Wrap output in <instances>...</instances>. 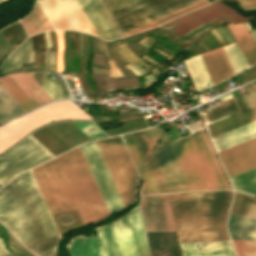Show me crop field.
<instances>
[{
    "instance_id": "crop-field-1",
    "label": "crop field",
    "mask_w": 256,
    "mask_h": 256,
    "mask_svg": "<svg viewBox=\"0 0 256 256\" xmlns=\"http://www.w3.org/2000/svg\"><path fill=\"white\" fill-rule=\"evenodd\" d=\"M178 243L229 240L224 221L230 191L168 194ZM167 194L141 196L147 233L175 230Z\"/></svg>"
},
{
    "instance_id": "crop-field-2",
    "label": "crop field",
    "mask_w": 256,
    "mask_h": 256,
    "mask_svg": "<svg viewBox=\"0 0 256 256\" xmlns=\"http://www.w3.org/2000/svg\"><path fill=\"white\" fill-rule=\"evenodd\" d=\"M0 222L37 256L62 239L30 170L0 189Z\"/></svg>"
},
{
    "instance_id": "crop-field-3",
    "label": "crop field",
    "mask_w": 256,
    "mask_h": 256,
    "mask_svg": "<svg viewBox=\"0 0 256 256\" xmlns=\"http://www.w3.org/2000/svg\"><path fill=\"white\" fill-rule=\"evenodd\" d=\"M55 159L84 225L110 215L80 147L78 146Z\"/></svg>"
},
{
    "instance_id": "crop-field-4",
    "label": "crop field",
    "mask_w": 256,
    "mask_h": 256,
    "mask_svg": "<svg viewBox=\"0 0 256 256\" xmlns=\"http://www.w3.org/2000/svg\"><path fill=\"white\" fill-rule=\"evenodd\" d=\"M170 145L191 190L225 189L198 131Z\"/></svg>"
},
{
    "instance_id": "crop-field-5",
    "label": "crop field",
    "mask_w": 256,
    "mask_h": 256,
    "mask_svg": "<svg viewBox=\"0 0 256 256\" xmlns=\"http://www.w3.org/2000/svg\"><path fill=\"white\" fill-rule=\"evenodd\" d=\"M199 0H101L121 35Z\"/></svg>"
},
{
    "instance_id": "crop-field-6",
    "label": "crop field",
    "mask_w": 256,
    "mask_h": 256,
    "mask_svg": "<svg viewBox=\"0 0 256 256\" xmlns=\"http://www.w3.org/2000/svg\"><path fill=\"white\" fill-rule=\"evenodd\" d=\"M95 229L103 256H149L138 207L125 217Z\"/></svg>"
},
{
    "instance_id": "crop-field-7",
    "label": "crop field",
    "mask_w": 256,
    "mask_h": 256,
    "mask_svg": "<svg viewBox=\"0 0 256 256\" xmlns=\"http://www.w3.org/2000/svg\"><path fill=\"white\" fill-rule=\"evenodd\" d=\"M71 118L93 119L71 101H60L13 120L0 127V152L27 131L41 124Z\"/></svg>"
},
{
    "instance_id": "crop-field-8",
    "label": "crop field",
    "mask_w": 256,
    "mask_h": 256,
    "mask_svg": "<svg viewBox=\"0 0 256 256\" xmlns=\"http://www.w3.org/2000/svg\"><path fill=\"white\" fill-rule=\"evenodd\" d=\"M121 200L126 206L133 201L136 171L119 136L95 141Z\"/></svg>"
},
{
    "instance_id": "crop-field-9",
    "label": "crop field",
    "mask_w": 256,
    "mask_h": 256,
    "mask_svg": "<svg viewBox=\"0 0 256 256\" xmlns=\"http://www.w3.org/2000/svg\"><path fill=\"white\" fill-rule=\"evenodd\" d=\"M31 170L51 213L76 208L54 158Z\"/></svg>"
},
{
    "instance_id": "crop-field-10",
    "label": "crop field",
    "mask_w": 256,
    "mask_h": 256,
    "mask_svg": "<svg viewBox=\"0 0 256 256\" xmlns=\"http://www.w3.org/2000/svg\"><path fill=\"white\" fill-rule=\"evenodd\" d=\"M53 157L31 135L0 158V187L17 174Z\"/></svg>"
},
{
    "instance_id": "crop-field-11",
    "label": "crop field",
    "mask_w": 256,
    "mask_h": 256,
    "mask_svg": "<svg viewBox=\"0 0 256 256\" xmlns=\"http://www.w3.org/2000/svg\"><path fill=\"white\" fill-rule=\"evenodd\" d=\"M227 26L231 31L239 49L241 50L248 66H251L256 62V45L253 42L252 36L250 35L243 23L236 26H233V24L230 23L227 24ZM218 29L229 44L234 43V40L226 27L222 26ZM211 33L221 45L226 44L225 40L222 38L216 28L212 29ZM236 43L223 47L235 74L247 68V65Z\"/></svg>"
},
{
    "instance_id": "crop-field-12",
    "label": "crop field",
    "mask_w": 256,
    "mask_h": 256,
    "mask_svg": "<svg viewBox=\"0 0 256 256\" xmlns=\"http://www.w3.org/2000/svg\"><path fill=\"white\" fill-rule=\"evenodd\" d=\"M37 1L54 29H74L96 35L75 0Z\"/></svg>"
},
{
    "instance_id": "crop-field-13",
    "label": "crop field",
    "mask_w": 256,
    "mask_h": 256,
    "mask_svg": "<svg viewBox=\"0 0 256 256\" xmlns=\"http://www.w3.org/2000/svg\"><path fill=\"white\" fill-rule=\"evenodd\" d=\"M169 185L173 192L190 190L182 171L177 163L173 151L166 139L163 129H156V126L145 130ZM161 140L159 144L157 140Z\"/></svg>"
},
{
    "instance_id": "crop-field-14",
    "label": "crop field",
    "mask_w": 256,
    "mask_h": 256,
    "mask_svg": "<svg viewBox=\"0 0 256 256\" xmlns=\"http://www.w3.org/2000/svg\"><path fill=\"white\" fill-rule=\"evenodd\" d=\"M80 147L110 213L116 209L124 208L95 142L84 143Z\"/></svg>"
},
{
    "instance_id": "crop-field-15",
    "label": "crop field",
    "mask_w": 256,
    "mask_h": 256,
    "mask_svg": "<svg viewBox=\"0 0 256 256\" xmlns=\"http://www.w3.org/2000/svg\"><path fill=\"white\" fill-rule=\"evenodd\" d=\"M228 177L256 167V138L218 153Z\"/></svg>"
},
{
    "instance_id": "crop-field-16",
    "label": "crop field",
    "mask_w": 256,
    "mask_h": 256,
    "mask_svg": "<svg viewBox=\"0 0 256 256\" xmlns=\"http://www.w3.org/2000/svg\"><path fill=\"white\" fill-rule=\"evenodd\" d=\"M245 88L248 93L235 98L242 113L256 107V83ZM255 120L256 109H253L234 118L209 126V134L213 138Z\"/></svg>"
},
{
    "instance_id": "crop-field-17",
    "label": "crop field",
    "mask_w": 256,
    "mask_h": 256,
    "mask_svg": "<svg viewBox=\"0 0 256 256\" xmlns=\"http://www.w3.org/2000/svg\"><path fill=\"white\" fill-rule=\"evenodd\" d=\"M97 36L104 39L120 37L98 0H76Z\"/></svg>"
},
{
    "instance_id": "crop-field-18",
    "label": "crop field",
    "mask_w": 256,
    "mask_h": 256,
    "mask_svg": "<svg viewBox=\"0 0 256 256\" xmlns=\"http://www.w3.org/2000/svg\"><path fill=\"white\" fill-rule=\"evenodd\" d=\"M159 193L171 192L145 131L132 133Z\"/></svg>"
},
{
    "instance_id": "crop-field-19",
    "label": "crop field",
    "mask_w": 256,
    "mask_h": 256,
    "mask_svg": "<svg viewBox=\"0 0 256 256\" xmlns=\"http://www.w3.org/2000/svg\"><path fill=\"white\" fill-rule=\"evenodd\" d=\"M201 58L214 84L234 75L222 47L201 54Z\"/></svg>"
},
{
    "instance_id": "crop-field-20",
    "label": "crop field",
    "mask_w": 256,
    "mask_h": 256,
    "mask_svg": "<svg viewBox=\"0 0 256 256\" xmlns=\"http://www.w3.org/2000/svg\"><path fill=\"white\" fill-rule=\"evenodd\" d=\"M256 137V121L213 138L217 152Z\"/></svg>"
},
{
    "instance_id": "crop-field-21",
    "label": "crop field",
    "mask_w": 256,
    "mask_h": 256,
    "mask_svg": "<svg viewBox=\"0 0 256 256\" xmlns=\"http://www.w3.org/2000/svg\"><path fill=\"white\" fill-rule=\"evenodd\" d=\"M127 135H130L133 145L130 144ZM122 138L128 148V151L134 161V164H135L141 178L144 181L141 194L158 193L154 186V183L150 177V174L146 168V165L143 161V158L139 152V149L135 143V140H134L132 134L129 133V134L122 135Z\"/></svg>"
},
{
    "instance_id": "crop-field-22",
    "label": "crop field",
    "mask_w": 256,
    "mask_h": 256,
    "mask_svg": "<svg viewBox=\"0 0 256 256\" xmlns=\"http://www.w3.org/2000/svg\"><path fill=\"white\" fill-rule=\"evenodd\" d=\"M37 107L52 101L29 74L10 75Z\"/></svg>"
},
{
    "instance_id": "crop-field-23",
    "label": "crop field",
    "mask_w": 256,
    "mask_h": 256,
    "mask_svg": "<svg viewBox=\"0 0 256 256\" xmlns=\"http://www.w3.org/2000/svg\"><path fill=\"white\" fill-rule=\"evenodd\" d=\"M71 256H102L99 239L95 236H78L66 245Z\"/></svg>"
},
{
    "instance_id": "crop-field-24",
    "label": "crop field",
    "mask_w": 256,
    "mask_h": 256,
    "mask_svg": "<svg viewBox=\"0 0 256 256\" xmlns=\"http://www.w3.org/2000/svg\"><path fill=\"white\" fill-rule=\"evenodd\" d=\"M200 56H193L184 61L197 91L213 84Z\"/></svg>"
},
{
    "instance_id": "crop-field-25",
    "label": "crop field",
    "mask_w": 256,
    "mask_h": 256,
    "mask_svg": "<svg viewBox=\"0 0 256 256\" xmlns=\"http://www.w3.org/2000/svg\"><path fill=\"white\" fill-rule=\"evenodd\" d=\"M20 21L28 35L53 29L37 2L33 8L32 13Z\"/></svg>"
},
{
    "instance_id": "crop-field-26",
    "label": "crop field",
    "mask_w": 256,
    "mask_h": 256,
    "mask_svg": "<svg viewBox=\"0 0 256 256\" xmlns=\"http://www.w3.org/2000/svg\"><path fill=\"white\" fill-rule=\"evenodd\" d=\"M253 213H256V198L235 193L230 216L242 218ZM243 219L256 221V214Z\"/></svg>"
},
{
    "instance_id": "crop-field-27",
    "label": "crop field",
    "mask_w": 256,
    "mask_h": 256,
    "mask_svg": "<svg viewBox=\"0 0 256 256\" xmlns=\"http://www.w3.org/2000/svg\"><path fill=\"white\" fill-rule=\"evenodd\" d=\"M53 100L70 98L63 78L48 83L39 72L30 73Z\"/></svg>"
},
{
    "instance_id": "crop-field-28",
    "label": "crop field",
    "mask_w": 256,
    "mask_h": 256,
    "mask_svg": "<svg viewBox=\"0 0 256 256\" xmlns=\"http://www.w3.org/2000/svg\"><path fill=\"white\" fill-rule=\"evenodd\" d=\"M0 83L13 96V98L28 112L37 108L10 76L0 78Z\"/></svg>"
},
{
    "instance_id": "crop-field-29",
    "label": "crop field",
    "mask_w": 256,
    "mask_h": 256,
    "mask_svg": "<svg viewBox=\"0 0 256 256\" xmlns=\"http://www.w3.org/2000/svg\"><path fill=\"white\" fill-rule=\"evenodd\" d=\"M12 53L5 59L3 63L2 75L7 74V64ZM28 64V41L19 47V70L22 69L21 65ZM18 70V48L15 49L13 56L11 57L8 65V73Z\"/></svg>"
},
{
    "instance_id": "crop-field-30",
    "label": "crop field",
    "mask_w": 256,
    "mask_h": 256,
    "mask_svg": "<svg viewBox=\"0 0 256 256\" xmlns=\"http://www.w3.org/2000/svg\"><path fill=\"white\" fill-rule=\"evenodd\" d=\"M182 256H233L231 250L199 251L197 243L179 244Z\"/></svg>"
},
{
    "instance_id": "crop-field-31",
    "label": "crop field",
    "mask_w": 256,
    "mask_h": 256,
    "mask_svg": "<svg viewBox=\"0 0 256 256\" xmlns=\"http://www.w3.org/2000/svg\"><path fill=\"white\" fill-rule=\"evenodd\" d=\"M1 32L5 40L14 47L19 45L27 37L19 22L8 26L7 28L1 30Z\"/></svg>"
},
{
    "instance_id": "crop-field-32",
    "label": "crop field",
    "mask_w": 256,
    "mask_h": 256,
    "mask_svg": "<svg viewBox=\"0 0 256 256\" xmlns=\"http://www.w3.org/2000/svg\"><path fill=\"white\" fill-rule=\"evenodd\" d=\"M206 4L207 3H206L205 0H201V1L197 2V3H194V4H192V5L188 6V7H185L183 9L179 10V11H176V12L170 14V15H167V16L159 19V20H156V21H154V22H152L150 24H147V25H145V26H143L141 28H138V29H136V30H134L132 32H129V33L125 34V35L132 34V33L138 32V31H142V30H145V29H148V28H152V27L158 26V25H160V24H162V23H164L166 21H169V20H171V19H173V18H175L177 16H180V15H182V14L188 12V11H191L193 9L199 8V7L204 6ZM125 35H123V36H125Z\"/></svg>"
},
{
    "instance_id": "crop-field-33",
    "label": "crop field",
    "mask_w": 256,
    "mask_h": 256,
    "mask_svg": "<svg viewBox=\"0 0 256 256\" xmlns=\"http://www.w3.org/2000/svg\"><path fill=\"white\" fill-rule=\"evenodd\" d=\"M240 189L256 193V168L233 177Z\"/></svg>"
},
{
    "instance_id": "crop-field-34",
    "label": "crop field",
    "mask_w": 256,
    "mask_h": 256,
    "mask_svg": "<svg viewBox=\"0 0 256 256\" xmlns=\"http://www.w3.org/2000/svg\"><path fill=\"white\" fill-rule=\"evenodd\" d=\"M236 256H256V241L232 240Z\"/></svg>"
},
{
    "instance_id": "crop-field-35",
    "label": "crop field",
    "mask_w": 256,
    "mask_h": 256,
    "mask_svg": "<svg viewBox=\"0 0 256 256\" xmlns=\"http://www.w3.org/2000/svg\"><path fill=\"white\" fill-rule=\"evenodd\" d=\"M129 56H131L134 60H136L140 65H142L145 69H147V70H150V66H148L146 63H144L142 60H140L138 57H136L130 50H129V48L125 45V44H123V45H121L120 46ZM120 48V49H121ZM121 49V51H122V53H123V55H124V57L128 60V62L130 63V64H132L137 70H139L141 73H143V74H145V73H148V72H146L144 69H142L140 66H138L135 62H134V60L131 58V57H129L123 50Z\"/></svg>"
},
{
    "instance_id": "crop-field-36",
    "label": "crop field",
    "mask_w": 256,
    "mask_h": 256,
    "mask_svg": "<svg viewBox=\"0 0 256 256\" xmlns=\"http://www.w3.org/2000/svg\"><path fill=\"white\" fill-rule=\"evenodd\" d=\"M199 132H200V134H201V136H202V138L204 140V143H205V145H206V147H207V149H208V151L210 153V156H211V158H212V160H213V162L215 164V167H216V169H217V171H218V173H219V175L221 177V180H222L225 188L226 189H230V187H229V185H228V183L226 181V178H225V176H224V174H223V172L221 170V167H220V165H219V163L217 161V158H216V156H215V154L213 152V149H212V147H211V145H210V143L208 141V138H207L205 132L203 130H200Z\"/></svg>"
},
{
    "instance_id": "crop-field-37",
    "label": "crop field",
    "mask_w": 256,
    "mask_h": 256,
    "mask_svg": "<svg viewBox=\"0 0 256 256\" xmlns=\"http://www.w3.org/2000/svg\"><path fill=\"white\" fill-rule=\"evenodd\" d=\"M57 37L58 44V53L56 59L57 72H63V62H62V54H63V31H55Z\"/></svg>"
},
{
    "instance_id": "crop-field-38",
    "label": "crop field",
    "mask_w": 256,
    "mask_h": 256,
    "mask_svg": "<svg viewBox=\"0 0 256 256\" xmlns=\"http://www.w3.org/2000/svg\"><path fill=\"white\" fill-rule=\"evenodd\" d=\"M107 61H108V65H109V68H110V73H109V77L108 78H123L124 75L120 71V69L117 66V64L114 61V59L107 60Z\"/></svg>"
},
{
    "instance_id": "crop-field-39",
    "label": "crop field",
    "mask_w": 256,
    "mask_h": 256,
    "mask_svg": "<svg viewBox=\"0 0 256 256\" xmlns=\"http://www.w3.org/2000/svg\"><path fill=\"white\" fill-rule=\"evenodd\" d=\"M11 239L14 241V243L19 246L20 248H22L24 251H26L27 253H29L31 256H34L33 254H31L28 250H26L25 248H23L9 233V247L10 249H12L14 252L16 253H20L24 256H28L27 254H25L22 250H20L16 245H14L11 241Z\"/></svg>"
},
{
    "instance_id": "crop-field-40",
    "label": "crop field",
    "mask_w": 256,
    "mask_h": 256,
    "mask_svg": "<svg viewBox=\"0 0 256 256\" xmlns=\"http://www.w3.org/2000/svg\"><path fill=\"white\" fill-rule=\"evenodd\" d=\"M204 250L227 249L225 242L202 243Z\"/></svg>"
},
{
    "instance_id": "crop-field-41",
    "label": "crop field",
    "mask_w": 256,
    "mask_h": 256,
    "mask_svg": "<svg viewBox=\"0 0 256 256\" xmlns=\"http://www.w3.org/2000/svg\"><path fill=\"white\" fill-rule=\"evenodd\" d=\"M12 48H14V47L11 46L9 43H7L0 33V60Z\"/></svg>"
},
{
    "instance_id": "crop-field-42",
    "label": "crop field",
    "mask_w": 256,
    "mask_h": 256,
    "mask_svg": "<svg viewBox=\"0 0 256 256\" xmlns=\"http://www.w3.org/2000/svg\"><path fill=\"white\" fill-rule=\"evenodd\" d=\"M242 77H243L244 83L246 81H250V80L256 78V67H254L252 70L242 74Z\"/></svg>"
},
{
    "instance_id": "crop-field-43",
    "label": "crop field",
    "mask_w": 256,
    "mask_h": 256,
    "mask_svg": "<svg viewBox=\"0 0 256 256\" xmlns=\"http://www.w3.org/2000/svg\"><path fill=\"white\" fill-rule=\"evenodd\" d=\"M241 8L256 6V0H236Z\"/></svg>"
},
{
    "instance_id": "crop-field-44",
    "label": "crop field",
    "mask_w": 256,
    "mask_h": 256,
    "mask_svg": "<svg viewBox=\"0 0 256 256\" xmlns=\"http://www.w3.org/2000/svg\"><path fill=\"white\" fill-rule=\"evenodd\" d=\"M186 127H187L189 130H197V129L202 128V126H201L199 120H197V121H195V122H193V123L187 125Z\"/></svg>"
},
{
    "instance_id": "crop-field-45",
    "label": "crop field",
    "mask_w": 256,
    "mask_h": 256,
    "mask_svg": "<svg viewBox=\"0 0 256 256\" xmlns=\"http://www.w3.org/2000/svg\"><path fill=\"white\" fill-rule=\"evenodd\" d=\"M0 256H17V255L7 252L1 242V239H0Z\"/></svg>"
},
{
    "instance_id": "crop-field-46",
    "label": "crop field",
    "mask_w": 256,
    "mask_h": 256,
    "mask_svg": "<svg viewBox=\"0 0 256 256\" xmlns=\"http://www.w3.org/2000/svg\"><path fill=\"white\" fill-rule=\"evenodd\" d=\"M28 40H29V64H32L33 63L34 52L31 51V39H30V37L28 38Z\"/></svg>"
},
{
    "instance_id": "crop-field-47",
    "label": "crop field",
    "mask_w": 256,
    "mask_h": 256,
    "mask_svg": "<svg viewBox=\"0 0 256 256\" xmlns=\"http://www.w3.org/2000/svg\"><path fill=\"white\" fill-rule=\"evenodd\" d=\"M113 45H114V47H115V49H116V51H117L119 57H120L121 60L123 61V63H124V64L128 63L127 60L122 56V54H121V52H120V50H119V48H118V45H115V44H113Z\"/></svg>"
},
{
    "instance_id": "crop-field-48",
    "label": "crop field",
    "mask_w": 256,
    "mask_h": 256,
    "mask_svg": "<svg viewBox=\"0 0 256 256\" xmlns=\"http://www.w3.org/2000/svg\"><path fill=\"white\" fill-rule=\"evenodd\" d=\"M24 71H31V70H37L35 65H31V66H25L23 67Z\"/></svg>"
},
{
    "instance_id": "crop-field-49",
    "label": "crop field",
    "mask_w": 256,
    "mask_h": 256,
    "mask_svg": "<svg viewBox=\"0 0 256 256\" xmlns=\"http://www.w3.org/2000/svg\"><path fill=\"white\" fill-rule=\"evenodd\" d=\"M93 70H101V71H109V70H105V69H99V68H94L92 67ZM101 71H93V72H101ZM101 73H108V72H101ZM93 74H100V73H93ZM101 75H108V74H101Z\"/></svg>"
},
{
    "instance_id": "crop-field-50",
    "label": "crop field",
    "mask_w": 256,
    "mask_h": 256,
    "mask_svg": "<svg viewBox=\"0 0 256 256\" xmlns=\"http://www.w3.org/2000/svg\"><path fill=\"white\" fill-rule=\"evenodd\" d=\"M47 58H48V49H46V55H45V67H46V71H48Z\"/></svg>"
},
{
    "instance_id": "crop-field-51",
    "label": "crop field",
    "mask_w": 256,
    "mask_h": 256,
    "mask_svg": "<svg viewBox=\"0 0 256 256\" xmlns=\"http://www.w3.org/2000/svg\"><path fill=\"white\" fill-rule=\"evenodd\" d=\"M160 71H158L157 69L153 68L152 73L157 76L159 74Z\"/></svg>"
},
{
    "instance_id": "crop-field-52",
    "label": "crop field",
    "mask_w": 256,
    "mask_h": 256,
    "mask_svg": "<svg viewBox=\"0 0 256 256\" xmlns=\"http://www.w3.org/2000/svg\"><path fill=\"white\" fill-rule=\"evenodd\" d=\"M143 57L146 58L147 60L153 62L154 64L158 65V64H157L156 62H154L153 60H151V59H149V58H147V57H145V56H143Z\"/></svg>"
}]
</instances>
